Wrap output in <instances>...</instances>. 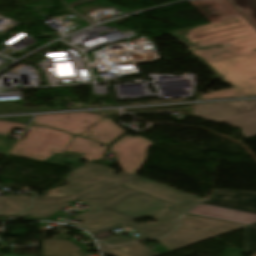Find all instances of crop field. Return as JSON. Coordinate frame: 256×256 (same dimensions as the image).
<instances>
[{"instance_id": "crop-field-1", "label": "crop field", "mask_w": 256, "mask_h": 256, "mask_svg": "<svg viewBox=\"0 0 256 256\" xmlns=\"http://www.w3.org/2000/svg\"><path fill=\"white\" fill-rule=\"evenodd\" d=\"M68 186L59 187L47 196H36L32 206L21 216H27L72 201L76 198L101 211L79 226L93 232L111 224L123 221L143 237L122 239L112 237L100 240L110 246L159 238L169 234L178 224L183 213L199 203L203 198L171 188L155 181L136 178V175L123 172L114 175V170L92 163L85 164L69 175ZM152 196L127 190L125 188ZM151 216L158 222L136 224L135 220Z\"/></svg>"}, {"instance_id": "crop-field-2", "label": "crop field", "mask_w": 256, "mask_h": 256, "mask_svg": "<svg viewBox=\"0 0 256 256\" xmlns=\"http://www.w3.org/2000/svg\"><path fill=\"white\" fill-rule=\"evenodd\" d=\"M227 47L201 49L194 53L202 56L220 75L245 97L256 96V51L236 55ZM217 55L216 58L211 56ZM237 84V86H235Z\"/></svg>"}, {"instance_id": "crop-field-3", "label": "crop field", "mask_w": 256, "mask_h": 256, "mask_svg": "<svg viewBox=\"0 0 256 256\" xmlns=\"http://www.w3.org/2000/svg\"><path fill=\"white\" fill-rule=\"evenodd\" d=\"M243 226L186 214L181 218L179 226L168 237L155 241L173 251Z\"/></svg>"}, {"instance_id": "crop-field-4", "label": "crop field", "mask_w": 256, "mask_h": 256, "mask_svg": "<svg viewBox=\"0 0 256 256\" xmlns=\"http://www.w3.org/2000/svg\"><path fill=\"white\" fill-rule=\"evenodd\" d=\"M28 130L24 141L10 139L17 143L11 156L44 161L55 152L63 154L72 138V135L47 127L29 125Z\"/></svg>"}, {"instance_id": "crop-field-5", "label": "crop field", "mask_w": 256, "mask_h": 256, "mask_svg": "<svg viewBox=\"0 0 256 256\" xmlns=\"http://www.w3.org/2000/svg\"><path fill=\"white\" fill-rule=\"evenodd\" d=\"M193 114L241 128L245 138L256 135V101L197 104Z\"/></svg>"}, {"instance_id": "crop-field-6", "label": "crop field", "mask_w": 256, "mask_h": 256, "mask_svg": "<svg viewBox=\"0 0 256 256\" xmlns=\"http://www.w3.org/2000/svg\"><path fill=\"white\" fill-rule=\"evenodd\" d=\"M151 145L152 142L140 136L127 135L113 145L110 151L115 153L124 171L136 174L141 169Z\"/></svg>"}, {"instance_id": "crop-field-7", "label": "crop field", "mask_w": 256, "mask_h": 256, "mask_svg": "<svg viewBox=\"0 0 256 256\" xmlns=\"http://www.w3.org/2000/svg\"><path fill=\"white\" fill-rule=\"evenodd\" d=\"M103 118L88 113L43 115L34 117L30 124L47 125L79 136Z\"/></svg>"}, {"instance_id": "crop-field-8", "label": "crop field", "mask_w": 256, "mask_h": 256, "mask_svg": "<svg viewBox=\"0 0 256 256\" xmlns=\"http://www.w3.org/2000/svg\"><path fill=\"white\" fill-rule=\"evenodd\" d=\"M203 204L256 214V193L216 190Z\"/></svg>"}, {"instance_id": "crop-field-9", "label": "crop field", "mask_w": 256, "mask_h": 256, "mask_svg": "<svg viewBox=\"0 0 256 256\" xmlns=\"http://www.w3.org/2000/svg\"><path fill=\"white\" fill-rule=\"evenodd\" d=\"M191 3L212 23L241 16L228 0H196Z\"/></svg>"}, {"instance_id": "crop-field-10", "label": "crop field", "mask_w": 256, "mask_h": 256, "mask_svg": "<svg viewBox=\"0 0 256 256\" xmlns=\"http://www.w3.org/2000/svg\"><path fill=\"white\" fill-rule=\"evenodd\" d=\"M190 214L249 225L256 222V215L200 204Z\"/></svg>"}, {"instance_id": "crop-field-11", "label": "crop field", "mask_w": 256, "mask_h": 256, "mask_svg": "<svg viewBox=\"0 0 256 256\" xmlns=\"http://www.w3.org/2000/svg\"><path fill=\"white\" fill-rule=\"evenodd\" d=\"M99 146L100 143L73 136L64 155L74 158L78 155L80 156L79 159H86L88 161L97 160L104 156L108 147L107 145L103 148ZM75 152H77L76 155H74ZM82 153H85V155H82Z\"/></svg>"}, {"instance_id": "crop-field-12", "label": "crop field", "mask_w": 256, "mask_h": 256, "mask_svg": "<svg viewBox=\"0 0 256 256\" xmlns=\"http://www.w3.org/2000/svg\"><path fill=\"white\" fill-rule=\"evenodd\" d=\"M122 134L124 131L119 126L105 118L80 136L109 145Z\"/></svg>"}, {"instance_id": "crop-field-13", "label": "crop field", "mask_w": 256, "mask_h": 256, "mask_svg": "<svg viewBox=\"0 0 256 256\" xmlns=\"http://www.w3.org/2000/svg\"><path fill=\"white\" fill-rule=\"evenodd\" d=\"M246 23L247 22L243 19V17L237 18V19H232V20H227V21L211 24V25L206 26V27H202V28H197V29L191 30L189 36H181V37L186 39V40H188V41H190V42H194V41L202 40V39L209 38V37L220 36V35L231 33V32H236V31H241V30H245V29H250L251 27L244 26V27H240V28H236V29H232V30H228V31L212 34V35H207V36H203V37H199V38H193V36H196V35H202V34H206V33H211V32H215V31L231 28V27L242 25V24H246ZM176 34L179 35L178 33H176Z\"/></svg>"}, {"instance_id": "crop-field-14", "label": "crop field", "mask_w": 256, "mask_h": 256, "mask_svg": "<svg viewBox=\"0 0 256 256\" xmlns=\"http://www.w3.org/2000/svg\"><path fill=\"white\" fill-rule=\"evenodd\" d=\"M102 251L111 256H158L139 242L110 248L98 242Z\"/></svg>"}, {"instance_id": "crop-field-15", "label": "crop field", "mask_w": 256, "mask_h": 256, "mask_svg": "<svg viewBox=\"0 0 256 256\" xmlns=\"http://www.w3.org/2000/svg\"><path fill=\"white\" fill-rule=\"evenodd\" d=\"M80 249L69 240H43L42 256H78Z\"/></svg>"}, {"instance_id": "crop-field-16", "label": "crop field", "mask_w": 256, "mask_h": 256, "mask_svg": "<svg viewBox=\"0 0 256 256\" xmlns=\"http://www.w3.org/2000/svg\"><path fill=\"white\" fill-rule=\"evenodd\" d=\"M33 195L0 197V216L15 215L25 210Z\"/></svg>"}, {"instance_id": "crop-field-17", "label": "crop field", "mask_w": 256, "mask_h": 256, "mask_svg": "<svg viewBox=\"0 0 256 256\" xmlns=\"http://www.w3.org/2000/svg\"><path fill=\"white\" fill-rule=\"evenodd\" d=\"M251 39H256V32L254 30L240 32V33H236V34H232L224 37H219L217 39H211V40L196 42V43L201 46L223 44L225 47L228 44L232 45V44L240 43V42L251 40Z\"/></svg>"}, {"instance_id": "crop-field-18", "label": "crop field", "mask_w": 256, "mask_h": 256, "mask_svg": "<svg viewBox=\"0 0 256 256\" xmlns=\"http://www.w3.org/2000/svg\"><path fill=\"white\" fill-rule=\"evenodd\" d=\"M42 110H58V108H50V107H33L28 108L24 106H19L14 103H9L7 105H0V113H20V112H35Z\"/></svg>"}, {"instance_id": "crop-field-19", "label": "crop field", "mask_w": 256, "mask_h": 256, "mask_svg": "<svg viewBox=\"0 0 256 256\" xmlns=\"http://www.w3.org/2000/svg\"><path fill=\"white\" fill-rule=\"evenodd\" d=\"M245 253H256V228H244Z\"/></svg>"}, {"instance_id": "crop-field-20", "label": "crop field", "mask_w": 256, "mask_h": 256, "mask_svg": "<svg viewBox=\"0 0 256 256\" xmlns=\"http://www.w3.org/2000/svg\"><path fill=\"white\" fill-rule=\"evenodd\" d=\"M236 97H244L234 88L227 90H220L208 94L201 95L200 100L205 99H215V98H236Z\"/></svg>"}, {"instance_id": "crop-field-21", "label": "crop field", "mask_w": 256, "mask_h": 256, "mask_svg": "<svg viewBox=\"0 0 256 256\" xmlns=\"http://www.w3.org/2000/svg\"><path fill=\"white\" fill-rule=\"evenodd\" d=\"M46 162H51L55 164L64 165L65 163L69 162L73 164V168L75 169L78 165H80V160L73 159V158H67L64 155L55 153L50 158L46 160Z\"/></svg>"}, {"instance_id": "crop-field-22", "label": "crop field", "mask_w": 256, "mask_h": 256, "mask_svg": "<svg viewBox=\"0 0 256 256\" xmlns=\"http://www.w3.org/2000/svg\"><path fill=\"white\" fill-rule=\"evenodd\" d=\"M27 125L0 121V134L10 135L13 128L25 129Z\"/></svg>"}, {"instance_id": "crop-field-23", "label": "crop field", "mask_w": 256, "mask_h": 256, "mask_svg": "<svg viewBox=\"0 0 256 256\" xmlns=\"http://www.w3.org/2000/svg\"><path fill=\"white\" fill-rule=\"evenodd\" d=\"M229 48L236 54L251 51L256 49V41L229 46Z\"/></svg>"}, {"instance_id": "crop-field-24", "label": "crop field", "mask_w": 256, "mask_h": 256, "mask_svg": "<svg viewBox=\"0 0 256 256\" xmlns=\"http://www.w3.org/2000/svg\"><path fill=\"white\" fill-rule=\"evenodd\" d=\"M121 226H123L124 228L127 227L124 224H122L121 222H119L117 224H114L109 227L103 228L101 230L95 231V232H93V235L96 237V239L107 237V236H110L111 229L121 227Z\"/></svg>"}, {"instance_id": "crop-field-25", "label": "crop field", "mask_w": 256, "mask_h": 256, "mask_svg": "<svg viewBox=\"0 0 256 256\" xmlns=\"http://www.w3.org/2000/svg\"><path fill=\"white\" fill-rule=\"evenodd\" d=\"M14 145L15 143L0 136V154L3 152V155H9Z\"/></svg>"}, {"instance_id": "crop-field-26", "label": "crop field", "mask_w": 256, "mask_h": 256, "mask_svg": "<svg viewBox=\"0 0 256 256\" xmlns=\"http://www.w3.org/2000/svg\"><path fill=\"white\" fill-rule=\"evenodd\" d=\"M63 207H65V206L62 205V206H59V207H56V208H52V209H49V210H46V211H43V212H40V213L33 214L32 216H35V217H49V216H52V214L54 212L60 210Z\"/></svg>"}, {"instance_id": "crop-field-27", "label": "crop field", "mask_w": 256, "mask_h": 256, "mask_svg": "<svg viewBox=\"0 0 256 256\" xmlns=\"http://www.w3.org/2000/svg\"><path fill=\"white\" fill-rule=\"evenodd\" d=\"M32 116H24V117H6L0 118L2 120L14 121V122H22V123H29Z\"/></svg>"}, {"instance_id": "crop-field-28", "label": "crop field", "mask_w": 256, "mask_h": 256, "mask_svg": "<svg viewBox=\"0 0 256 256\" xmlns=\"http://www.w3.org/2000/svg\"><path fill=\"white\" fill-rule=\"evenodd\" d=\"M99 213V211L95 210L94 208L91 207V209L85 213H83L82 215L78 216L77 218H75V220H79V221H83L95 214Z\"/></svg>"}, {"instance_id": "crop-field-29", "label": "crop field", "mask_w": 256, "mask_h": 256, "mask_svg": "<svg viewBox=\"0 0 256 256\" xmlns=\"http://www.w3.org/2000/svg\"><path fill=\"white\" fill-rule=\"evenodd\" d=\"M256 28V8L244 15Z\"/></svg>"}, {"instance_id": "crop-field-30", "label": "crop field", "mask_w": 256, "mask_h": 256, "mask_svg": "<svg viewBox=\"0 0 256 256\" xmlns=\"http://www.w3.org/2000/svg\"><path fill=\"white\" fill-rule=\"evenodd\" d=\"M255 7H256V0H252L250 3H248L246 6H244L239 11H241L244 15L247 12H249L250 10L254 9Z\"/></svg>"}, {"instance_id": "crop-field-31", "label": "crop field", "mask_w": 256, "mask_h": 256, "mask_svg": "<svg viewBox=\"0 0 256 256\" xmlns=\"http://www.w3.org/2000/svg\"><path fill=\"white\" fill-rule=\"evenodd\" d=\"M230 1L239 10L251 0H230Z\"/></svg>"}, {"instance_id": "crop-field-32", "label": "crop field", "mask_w": 256, "mask_h": 256, "mask_svg": "<svg viewBox=\"0 0 256 256\" xmlns=\"http://www.w3.org/2000/svg\"><path fill=\"white\" fill-rule=\"evenodd\" d=\"M244 251L228 249L223 256H242L241 253Z\"/></svg>"}, {"instance_id": "crop-field-33", "label": "crop field", "mask_w": 256, "mask_h": 256, "mask_svg": "<svg viewBox=\"0 0 256 256\" xmlns=\"http://www.w3.org/2000/svg\"><path fill=\"white\" fill-rule=\"evenodd\" d=\"M25 220H53L57 221L55 218H26Z\"/></svg>"}, {"instance_id": "crop-field-34", "label": "crop field", "mask_w": 256, "mask_h": 256, "mask_svg": "<svg viewBox=\"0 0 256 256\" xmlns=\"http://www.w3.org/2000/svg\"><path fill=\"white\" fill-rule=\"evenodd\" d=\"M77 253H78L80 256H84V253H83L82 250L77 251Z\"/></svg>"}, {"instance_id": "crop-field-35", "label": "crop field", "mask_w": 256, "mask_h": 256, "mask_svg": "<svg viewBox=\"0 0 256 256\" xmlns=\"http://www.w3.org/2000/svg\"><path fill=\"white\" fill-rule=\"evenodd\" d=\"M2 256H22V255H11V254H5V255H2Z\"/></svg>"}, {"instance_id": "crop-field-36", "label": "crop field", "mask_w": 256, "mask_h": 256, "mask_svg": "<svg viewBox=\"0 0 256 256\" xmlns=\"http://www.w3.org/2000/svg\"><path fill=\"white\" fill-rule=\"evenodd\" d=\"M247 25H250V24H247ZM244 26V25H243ZM251 26V25H250ZM240 27V26H239ZM236 28V27H235ZM232 29V28H231ZM254 29V28H253ZM228 30V29H227ZM255 30V29H254ZM224 31V30H223ZM256 31V30H255ZM220 32V31H219ZM216 33V32H215ZM212 34V33H211ZM207 35V34H206ZM228 35V34H227ZM198 37V36H197ZM215 38H217V37H215ZM210 39V38H209ZM251 41H253V40H251ZM247 42H249V41H247Z\"/></svg>"}, {"instance_id": "crop-field-37", "label": "crop field", "mask_w": 256, "mask_h": 256, "mask_svg": "<svg viewBox=\"0 0 256 256\" xmlns=\"http://www.w3.org/2000/svg\"><path fill=\"white\" fill-rule=\"evenodd\" d=\"M254 256H256V254H254Z\"/></svg>"}]
</instances>
